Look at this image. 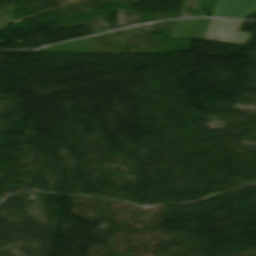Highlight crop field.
I'll list each match as a JSON object with an SVG mask.
<instances>
[{"instance_id":"2","label":"crop field","mask_w":256,"mask_h":256,"mask_svg":"<svg viewBox=\"0 0 256 256\" xmlns=\"http://www.w3.org/2000/svg\"><path fill=\"white\" fill-rule=\"evenodd\" d=\"M256 13V0H221L213 16H226L244 19Z\"/></svg>"},{"instance_id":"1","label":"crop field","mask_w":256,"mask_h":256,"mask_svg":"<svg viewBox=\"0 0 256 256\" xmlns=\"http://www.w3.org/2000/svg\"><path fill=\"white\" fill-rule=\"evenodd\" d=\"M243 21L212 19L203 40L246 44L251 33L238 32Z\"/></svg>"}]
</instances>
